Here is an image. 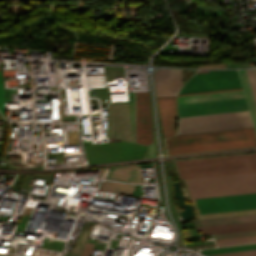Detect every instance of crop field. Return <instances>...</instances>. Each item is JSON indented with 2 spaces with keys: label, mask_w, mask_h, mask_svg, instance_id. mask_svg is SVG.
I'll use <instances>...</instances> for the list:
<instances>
[{
  "label": "crop field",
  "mask_w": 256,
  "mask_h": 256,
  "mask_svg": "<svg viewBox=\"0 0 256 256\" xmlns=\"http://www.w3.org/2000/svg\"><path fill=\"white\" fill-rule=\"evenodd\" d=\"M136 96V142L152 143L149 93H135Z\"/></svg>",
  "instance_id": "crop-field-8"
},
{
  "label": "crop field",
  "mask_w": 256,
  "mask_h": 256,
  "mask_svg": "<svg viewBox=\"0 0 256 256\" xmlns=\"http://www.w3.org/2000/svg\"><path fill=\"white\" fill-rule=\"evenodd\" d=\"M0 112L4 116V102H3V82H2V74L0 71Z\"/></svg>",
  "instance_id": "crop-field-22"
},
{
  "label": "crop field",
  "mask_w": 256,
  "mask_h": 256,
  "mask_svg": "<svg viewBox=\"0 0 256 256\" xmlns=\"http://www.w3.org/2000/svg\"><path fill=\"white\" fill-rule=\"evenodd\" d=\"M248 110L244 98L178 105L179 117Z\"/></svg>",
  "instance_id": "crop-field-7"
},
{
  "label": "crop field",
  "mask_w": 256,
  "mask_h": 256,
  "mask_svg": "<svg viewBox=\"0 0 256 256\" xmlns=\"http://www.w3.org/2000/svg\"><path fill=\"white\" fill-rule=\"evenodd\" d=\"M180 178H196L256 172V153L175 161Z\"/></svg>",
  "instance_id": "crop-field-1"
},
{
  "label": "crop field",
  "mask_w": 256,
  "mask_h": 256,
  "mask_svg": "<svg viewBox=\"0 0 256 256\" xmlns=\"http://www.w3.org/2000/svg\"><path fill=\"white\" fill-rule=\"evenodd\" d=\"M175 98L176 97L157 98L164 138L175 134L177 119Z\"/></svg>",
  "instance_id": "crop-field-10"
},
{
  "label": "crop field",
  "mask_w": 256,
  "mask_h": 256,
  "mask_svg": "<svg viewBox=\"0 0 256 256\" xmlns=\"http://www.w3.org/2000/svg\"><path fill=\"white\" fill-rule=\"evenodd\" d=\"M108 178L122 181L142 182L138 165H121L112 167Z\"/></svg>",
  "instance_id": "crop-field-11"
},
{
  "label": "crop field",
  "mask_w": 256,
  "mask_h": 256,
  "mask_svg": "<svg viewBox=\"0 0 256 256\" xmlns=\"http://www.w3.org/2000/svg\"><path fill=\"white\" fill-rule=\"evenodd\" d=\"M253 127L248 111L179 118L176 135Z\"/></svg>",
  "instance_id": "crop-field-3"
},
{
  "label": "crop field",
  "mask_w": 256,
  "mask_h": 256,
  "mask_svg": "<svg viewBox=\"0 0 256 256\" xmlns=\"http://www.w3.org/2000/svg\"><path fill=\"white\" fill-rule=\"evenodd\" d=\"M244 97L243 91H229L178 97V104Z\"/></svg>",
  "instance_id": "crop-field-12"
},
{
  "label": "crop field",
  "mask_w": 256,
  "mask_h": 256,
  "mask_svg": "<svg viewBox=\"0 0 256 256\" xmlns=\"http://www.w3.org/2000/svg\"><path fill=\"white\" fill-rule=\"evenodd\" d=\"M238 72H239V75H240V79H241V82H242L244 93H245V96H246V99H247V103H248V106H249L251 117H252L254 127H255V130H256V106H255L253 95H252V92H251V89H250V85H249V82H248L246 71L245 70H238Z\"/></svg>",
  "instance_id": "crop-field-14"
},
{
  "label": "crop field",
  "mask_w": 256,
  "mask_h": 256,
  "mask_svg": "<svg viewBox=\"0 0 256 256\" xmlns=\"http://www.w3.org/2000/svg\"><path fill=\"white\" fill-rule=\"evenodd\" d=\"M251 249H256V244L217 248V249H208V250H202L201 253L204 255H210V254L243 251V250H251Z\"/></svg>",
  "instance_id": "crop-field-17"
},
{
  "label": "crop field",
  "mask_w": 256,
  "mask_h": 256,
  "mask_svg": "<svg viewBox=\"0 0 256 256\" xmlns=\"http://www.w3.org/2000/svg\"><path fill=\"white\" fill-rule=\"evenodd\" d=\"M238 89H242V88H238ZM238 89H229V90H238ZM229 90H220V91H229ZM211 92H219V91H211ZM201 93H210V92H201ZM201 93H192V94H201ZM183 95H191V94H183ZM182 96V95H179Z\"/></svg>",
  "instance_id": "crop-field-27"
},
{
  "label": "crop field",
  "mask_w": 256,
  "mask_h": 256,
  "mask_svg": "<svg viewBox=\"0 0 256 256\" xmlns=\"http://www.w3.org/2000/svg\"><path fill=\"white\" fill-rule=\"evenodd\" d=\"M251 138H256L253 128L189 134V135H179V136H174L172 138L166 139V144H167V147H171V146H181V145H191V144H201V143H211V142H221V141H231V140H241V139H251Z\"/></svg>",
  "instance_id": "crop-field-5"
},
{
  "label": "crop field",
  "mask_w": 256,
  "mask_h": 256,
  "mask_svg": "<svg viewBox=\"0 0 256 256\" xmlns=\"http://www.w3.org/2000/svg\"><path fill=\"white\" fill-rule=\"evenodd\" d=\"M201 214L256 208V194L196 199Z\"/></svg>",
  "instance_id": "crop-field-6"
},
{
  "label": "crop field",
  "mask_w": 256,
  "mask_h": 256,
  "mask_svg": "<svg viewBox=\"0 0 256 256\" xmlns=\"http://www.w3.org/2000/svg\"><path fill=\"white\" fill-rule=\"evenodd\" d=\"M191 199L256 193V173L185 180Z\"/></svg>",
  "instance_id": "crop-field-2"
},
{
  "label": "crop field",
  "mask_w": 256,
  "mask_h": 256,
  "mask_svg": "<svg viewBox=\"0 0 256 256\" xmlns=\"http://www.w3.org/2000/svg\"><path fill=\"white\" fill-rule=\"evenodd\" d=\"M254 242H256V239L220 242V243H216V244L218 247H222V246H230V245H238V244H246V243H254Z\"/></svg>",
  "instance_id": "crop-field-20"
},
{
  "label": "crop field",
  "mask_w": 256,
  "mask_h": 256,
  "mask_svg": "<svg viewBox=\"0 0 256 256\" xmlns=\"http://www.w3.org/2000/svg\"><path fill=\"white\" fill-rule=\"evenodd\" d=\"M132 95H133V142H135V96L133 92H132Z\"/></svg>",
  "instance_id": "crop-field-24"
},
{
  "label": "crop field",
  "mask_w": 256,
  "mask_h": 256,
  "mask_svg": "<svg viewBox=\"0 0 256 256\" xmlns=\"http://www.w3.org/2000/svg\"><path fill=\"white\" fill-rule=\"evenodd\" d=\"M93 225H94L93 223L88 222L87 225L83 226V228L80 232V235L77 239V242H76L70 256H80L81 251L84 247V244H85V242H86V240H87V238L90 234V231H91Z\"/></svg>",
  "instance_id": "crop-field-15"
},
{
  "label": "crop field",
  "mask_w": 256,
  "mask_h": 256,
  "mask_svg": "<svg viewBox=\"0 0 256 256\" xmlns=\"http://www.w3.org/2000/svg\"><path fill=\"white\" fill-rule=\"evenodd\" d=\"M212 256H256V250L228 253V254H220V255H212Z\"/></svg>",
  "instance_id": "crop-field-21"
},
{
  "label": "crop field",
  "mask_w": 256,
  "mask_h": 256,
  "mask_svg": "<svg viewBox=\"0 0 256 256\" xmlns=\"http://www.w3.org/2000/svg\"><path fill=\"white\" fill-rule=\"evenodd\" d=\"M242 87L236 70L209 71L195 74L179 94Z\"/></svg>",
  "instance_id": "crop-field-4"
},
{
  "label": "crop field",
  "mask_w": 256,
  "mask_h": 256,
  "mask_svg": "<svg viewBox=\"0 0 256 256\" xmlns=\"http://www.w3.org/2000/svg\"><path fill=\"white\" fill-rule=\"evenodd\" d=\"M94 243V241L88 239L81 256H89Z\"/></svg>",
  "instance_id": "crop-field-23"
},
{
  "label": "crop field",
  "mask_w": 256,
  "mask_h": 256,
  "mask_svg": "<svg viewBox=\"0 0 256 256\" xmlns=\"http://www.w3.org/2000/svg\"><path fill=\"white\" fill-rule=\"evenodd\" d=\"M251 235H256V230L235 232V233H226V234H217V235H213V236L215 239H220V238L241 237V236H251Z\"/></svg>",
  "instance_id": "crop-field-18"
},
{
  "label": "crop field",
  "mask_w": 256,
  "mask_h": 256,
  "mask_svg": "<svg viewBox=\"0 0 256 256\" xmlns=\"http://www.w3.org/2000/svg\"><path fill=\"white\" fill-rule=\"evenodd\" d=\"M247 238H256V236H251V237H241V238H230V239H220V240H215V241H216V242H220V241H229V240L247 239Z\"/></svg>",
  "instance_id": "crop-field-25"
},
{
  "label": "crop field",
  "mask_w": 256,
  "mask_h": 256,
  "mask_svg": "<svg viewBox=\"0 0 256 256\" xmlns=\"http://www.w3.org/2000/svg\"><path fill=\"white\" fill-rule=\"evenodd\" d=\"M134 187H135V185L121 184V183L106 181L103 184H101L99 189L131 195Z\"/></svg>",
  "instance_id": "crop-field-16"
},
{
  "label": "crop field",
  "mask_w": 256,
  "mask_h": 256,
  "mask_svg": "<svg viewBox=\"0 0 256 256\" xmlns=\"http://www.w3.org/2000/svg\"><path fill=\"white\" fill-rule=\"evenodd\" d=\"M246 71H247L249 82H250V85H251V88H252L254 99H255V102H256V69H249V70H246Z\"/></svg>",
  "instance_id": "crop-field-19"
},
{
  "label": "crop field",
  "mask_w": 256,
  "mask_h": 256,
  "mask_svg": "<svg viewBox=\"0 0 256 256\" xmlns=\"http://www.w3.org/2000/svg\"><path fill=\"white\" fill-rule=\"evenodd\" d=\"M254 146H256V139L192 145V146H182V147H172V148H167V151L169 155H175V154H185V153H193V152H200V151H207V150L244 148V147H254Z\"/></svg>",
  "instance_id": "crop-field-9"
},
{
  "label": "crop field",
  "mask_w": 256,
  "mask_h": 256,
  "mask_svg": "<svg viewBox=\"0 0 256 256\" xmlns=\"http://www.w3.org/2000/svg\"><path fill=\"white\" fill-rule=\"evenodd\" d=\"M148 152H149V157L154 156V148H153V143L148 145Z\"/></svg>",
  "instance_id": "crop-field-26"
},
{
  "label": "crop field",
  "mask_w": 256,
  "mask_h": 256,
  "mask_svg": "<svg viewBox=\"0 0 256 256\" xmlns=\"http://www.w3.org/2000/svg\"><path fill=\"white\" fill-rule=\"evenodd\" d=\"M249 221H256V215H246V216H236V217H227V218L197 220V221H193V222H194L196 227H200V226L220 225V224L249 222Z\"/></svg>",
  "instance_id": "crop-field-13"
}]
</instances>
